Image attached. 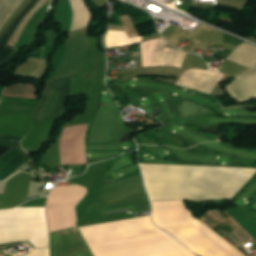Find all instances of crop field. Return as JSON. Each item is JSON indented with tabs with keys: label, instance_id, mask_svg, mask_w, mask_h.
Masks as SVG:
<instances>
[{
	"label": "crop field",
	"instance_id": "8a807250",
	"mask_svg": "<svg viewBox=\"0 0 256 256\" xmlns=\"http://www.w3.org/2000/svg\"><path fill=\"white\" fill-rule=\"evenodd\" d=\"M150 200L233 197L256 169L139 164Z\"/></svg>",
	"mask_w": 256,
	"mask_h": 256
},
{
	"label": "crop field",
	"instance_id": "ac0d7876",
	"mask_svg": "<svg viewBox=\"0 0 256 256\" xmlns=\"http://www.w3.org/2000/svg\"><path fill=\"white\" fill-rule=\"evenodd\" d=\"M79 229L95 256H196L149 216Z\"/></svg>",
	"mask_w": 256,
	"mask_h": 256
},
{
	"label": "crop field",
	"instance_id": "34b2d1b8",
	"mask_svg": "<svg viewBox=\"0 0 256 256\" xmlns=\"http://www.w3.org/2000/svg\"><path fill=\"white\" fill-rule=\"evenodd\" d=\"M152 204V220L200 256H244L195 219L182 200Z\"/></svg>",
	"mask_w": 256,
	"mask_h": 256
},
{
	"label": "crop field",
	"instance_id": "412701ff",
	"mask_svg": "<svg viewBox=\"0 0 256 256\" xmlns=\"http://www.w3.org/2000/svg\"><path fill=\"white\" fill-rule=\"evenodd\" d=\"M75 75L48 81L31 123L57 118L63 110Z\"/></svg>",
	"mask_w": 256,
	"mask_h": 256
},
{
	"label": "crop field",
	"instance_id": "f4fd0767",
	"mask_svg": "<svg viewBox=\"0 0 256 256\" xmlns=\"http://www.w3.org/2000/svg\"><path fill=\"white\" fill-rule=\"evenodd\" d=\"M88 247L77 227L50 233L51 256H72ZM74 256H93L89 247Z\"/></svg>",
	"mask_w": 256,
	"mask_h": 256
},
{
	"label": "crop field",
	"instance_id": "dd49c442",
	"mask_svg": "<svg viewBox=\"0 0 256 256\" xmlns=\"http://www.w3.org/2000/svg\"><path fill=\"white\" fill-rule=\"evenodd\" d=\"M22 138L0 135V145L14 147L0 158V180L15 172L29 161V156L20 148Z\"/></svg>",
	"mask_w": 256,
	"mask_h": 256
},
{
	"label": "crop field",
	"instance_id": "e52e79f7",
	"mask_svg": "<svg viewBox=\"0 0 256 256\" xmlns=\"http://www.w3.org/2000/svg\"><path fill=\"white\" fill-rule=\"evenodd\" d=\"M32 174L20 173L10 178L4 194H0V209L12 208L26 202Z\"/></svg>",
	"mask_w": 256,
	"mask_h": 256
},
{
	"label": "crop field",
	"instance_id": "d8731c3e",
	"mask_svg": "<svg viewBox=\"0 0 256 256\" xmlns=\"http://www.w3.org/2000/svg\"><path fill=\"white\" fill-rule=\"evenodd\" d=\"M235 78L238 80L226 86L235 100L243 102L256 95V66Z\"/></svg>",
	"mask_w": 256,
	"mask_h": 256
},
{
	"label": "crop field",
	"instance_id": "5a996713",
	"mask_svg": "<svg viewBox=\"0 0 256 256\" xmlns=\"http://www.w3.org/2000/svg\"><path fill=\"white\" fill-rule=\"evenodd\" d=\"M39 0H31L15 21L8 27V29L0 37V65H3L9 58L15 48L6 45L15 28L21 21V19L34 7ZM23 20V19H22Z\"/></svg>",
	"mask_w": 256,
	"mask_h": 256
},
{
	"label": "crop field",
	"instance_id": "3316defc",
	"mask_svg": "<svg viewBox=\"0 0 256 256\" xmlns=\"http://www.w3.org/2000/svg\"><path fill=\"white\" fill-rule=\"evenodd\" d=\"M141 38L142 37L128 39L125 32L108 30L105 36V44L107 49L113 47H124L131 44L139 43L141 41Z\"/></svg>",
	"mask_w": 256,
	"mask_h": 256
},
{
	"label": "crop field",
	"instance_id": "28ad6ade",
	"mask_svg": "<svg viewBox=\"0 0 256 256\" xmlns=\"http://www.w3.org/2000/svg\"><path fill=\"white\" fill-rule=\"evenodd\" d=\"M175 109L179 111L180 118L191 117L194 115L205 114V113H211V111L204 109L186 100L182 102Z\"/></svg>",
	"mask_w": 256,
	"mask_h": 256
},
{
	"label": "crop field",
	"instance_id": "d1516ede",
	"mask_svg": "<svg viewBox=\"0 0 256 256\" xmlns=\"http://www.w3.org/2000/svg\"><path fill=\"white\" fill-rule=\"evenodd\" d=\"M10 149H12V148L0 146V157H1L2 155H4L6 152H8Z\"/></svg>",
	"mask_w": 256,
	"mask_h": 256
}]
</instances>
